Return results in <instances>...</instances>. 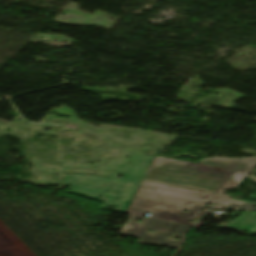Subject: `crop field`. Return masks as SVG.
I'll return each mask as SVG.
<instances>
[{"instance_id":"obj_3","label":"crop field","mask_w":256,"mask_h":256,"mask_svg":"<svg viewBox=\"0 0 256 256\" xmlns=\"http://www.w3.org/2000/svg\"><path fill=\"white\" fill-rule=\"evenodd\" d=\"M138 219H142L141 223H136ZM191 227L184 226L180 224L160 221L156 219L140 217L136 215L130 214L129 219L123 226L120 234L123 236H133L138 238L137 243L145 244V245H154V246H175L179 247L183 238V234L188 233ZM147 230H155L152 234L147 232ZM159 233H156L157 231ZM177 233L176 235H173ZM169 236H176L180 239L178 241L175 240H167Z\"/></svg>"},{"instance_id":"obj_1","label":"crop field","mask_w":256,"mask_h":256,"mask_svg":"<svg viewBox=\"0 0 256 256\" xmlns=\"http://www.w3.org/2000/svg\"><path fill=\"white\" fill-rule=\"evenodd\" d=\"M256 167L252 158H209L198 164L155 157L144 178L223 194Z\"/></svg>"},{"instance_id":"obj_2","label":"crop field","mask_w":256,"mask_h":256,"mask_svg":"<svg viewBox=\"0 0 256 256\" xmlns=\"http://www.w3.org/2000/svg\"><path fill=\"white\" fill-rule=\"evenodd\" d=\"M213 195L202 190L143 179L126 213L143 216L148 212L155 214L151 218L192 226L193 223L188 222L192 217L197 218Z\"/></svg>"},{"instance_id":"obj_5","label":"crop field","mask_w":256,"mask_h":256,"mask_svg":"<svg viewBox=\"0 0 256 256\" xmlns=\"http://www.w3.org/2000/svg\"><path fill=\"white\" fill-rule=\"evenodd\" d=\"M231 198L232 197L229 196L215 194L210 202L235 208H241L245 210H248L256 206V203H247L243 201L233 200Z\"/></svg>"},{"instance_id":"obj_6","label":"crop field","mask_w":256,"mask_h":256,"mask_svg":"<svg viewBox=\"0 0 256 256\" xmlns=\"http://www.w3.org/2000/svg\"><path fill=\"white\" fill-rule=\"evenodd\" d=\"M250 199H254V200H256V195H250V197H249Z\"/></svg>"},{"instance_id":"obj_4","label":"crop field","mask_w":256,"mask_h":256,"mask_svg":"<svg viewBox=\"0 0 256 256\" xmlns=\"http://www.w3.org/2000/svg\"><path fill=\"white\" fill-rule=\"evenodd\" d=\"M227 227L254 233L256 232V214L247 212Z\"/></svg>"}]
</instances>
